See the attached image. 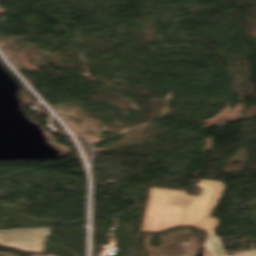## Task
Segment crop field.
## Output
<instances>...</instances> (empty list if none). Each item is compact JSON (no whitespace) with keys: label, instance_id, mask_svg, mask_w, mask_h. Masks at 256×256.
Segmentation results:
<instances>
[{"label":"crop field","instance_id":"crop-field-1","mask_svg":"<svg viewBox=\"0 0 256 256\" xmlns=\"http://www.w3.org/2000/svg\"><path fill=\"white\" fill-rule=\"evenodd\" d=\"M195 187L202 190L198 197L186 195L185 192L151 188L141 232H162L181 226L212 232L218 223L209 216L225 186L202 180Z\"/></svg>","mask_w":256,"mask_h":256}]
</instances>
